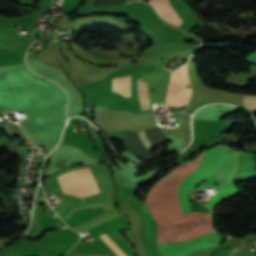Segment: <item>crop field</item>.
<instances>
[{
  "mask_svg": "<svg viewBox=\"0 0 256 256\" xmlns=\"http://www.w3.org/2000/svg\"><path fill=\"white\" fill-rule=\"evenodd\" d=\"M240 154V150L236 151L225 145L208 149L204 152V155L201 153L194 160L173 169L169 175L153 186L146 198V202H143L153 216L154 226L152 234L204 214L191 212L186 192L204 181L207 182L199 185L197 189L227 183L238 165ZM202 155L203 158L199 164ZM196 168L197 170L195 171ZM193 171L195 172L192 173ZM182 180L184 181L179 186ZM178 186V201L183 214L191 212L185 216H183L177 201ZM211 228V216L210 213H207L195 220L160 231L152 236L158 249L172 243L183 241ZM219 241L220 236L212 229L183 242L158 249L157 251L159 256H191L195 252L218 245L217 243Z\"/></svg>",
  "mask_w": 256,
  "mask_h": 256,
  "instance_id": "obj_1",
  "label": "crop field"
},
{
  "mask_svg": "<svg viewBox=\"0 0 256 256\" xmlns=\"http://www.w3.org/2000/svg\"><path fill=\"white\" fill-rule=\"evenodd\" d=\"M178 70L179 69L174 71L172 74V79H171V84H170V89H169L166 105H172V103H173V97H174V92H175L177 76H178ZM186 85H190V84H189V82L187 80V76H186V65H184L179 70V76H178V81H177L175 97H176V93H180V96H179V94H177L176 103H175V97H174L175 106L177 104L178 96H179V100H178L177 106H183V105L187 104L190 94H191V89H187ZM174 103H173V105H174Z\"/></svg>",
  "mask_w": 256,
  "mask_h": 256,
  "instance_id": "obj_2",
  "label": "crop field"
},
{
  "mask_svg": "<svg viewBox=\"0 0 256 256\" xmlns=\"http://www.w3.org/2000/svg\"><path fill=\"white\" fill-rule=\"evenodd\" d=\"M149 2V1H148ZM157 14L167 22L178 26L180 18L169 5L168 0H150ZM150 4V3H149Z\"/></svg>",
  "mask_w": 256,
  "mask_h": 256,
  "instance_id": "obj_3",
  "label": "crop field"
},
{
  "mask_svg": "<svg viewBox=\"0 0 256 256\" xmlns=\"http://www.w3.org/2000/svg\"><path fill=\"white\" fill-rule=\"evenodd\" d=\"M253 177H256V168L252 159V154L245 153L243 162L231 182H236V179H247Z\"/></svg>",
  "mask_w": 256,
  "mask_h": 256,
  "instance_id": "obj_4",
  "label": "crop field"
},
{
  "mask_svg": "<svg viewBox=\"0 0 256 256\" xmlns=\"http://www.w3.org/2000/svg\"><path fill=\"white\" fill-rule=\"evenodd\" d=\"M216 190H217L218 194L211 195L210 199L208 201H206L207 202V206H209L211 209L218 202H220L223 199L227 198L228 196L234 195V194H236L238 192L236 186L233 185V184H230V183L228 185H225V186L217 187Z\"/></svg>",
  "mask_w": 256,
  "mask_h": 256,
  "instance_id": "obj_5",
  "label": "crop field"
},
{
  "mask_svg": "<svg viewBox=\"0 0 256 256\" xmlns=\"http://www.w3.org/2000/svg\"><path fill=\"white\" fill-rule=\"evenodd\" d=\"M130 77H120L113 79L112 90L120 93L125 97L130 96Z\"/></svg>",
  "mask_w": 256,
  "mask_h": 256,
  "instance_id": "obj_6",
  "label": "crop field"
},
{
  "mask_svg": "<svg viewBox=\"0 0 256 256\" xmlns=\"http://www.w3.org/2000/svg\"><path fill=\"white\" fill-rule=\"evenodd\" d=\"M99 237L106 243V245L117 255V256H128L123 249L108 235L102 234Z\"/></svg>",
  "mask_w": 256,
  "mask_h": 256,
  "instance_id": "obj_7",
  "label": "crop field"
},
{
  "mask_svg": "<svg viewBox=\"0 0 256 256\" xmlns=\"http://www.w3.org/2000/svg\"><path fill=\"white\" fill-rule=\"evenodd\" d=\"M137 87L142 110L150 109L145 83L138 80Z\"/></svg>",
  "mask_w": 256,
  "mask_h": 256,
  "instance_id": "obj_8",
  "label": "crop field"
},
{
  "mask_svg": "<svg viewBox=\"0 0 256 256\" xmlns=\"http://www.w3.org/2000/svg\"><path fill=\"white\" fill-rule=\"evenodd\" d=\"M243 104L253 112H256V96L255 95H245Z\"/></svg>",
  "mask_w": 256,
  "mask_h": 256,
  "instance_id": "obj_9",
  "label": "crop field"
},
{
  "mask_svg": "<svg viewBox=\"0 0 256 256\" xmlns=\"http://www.w3.org/2000/svg\"><path fill=\"white\" fill-rule=\"evenodd\" d=\"M139 136L141 138L142 143L149 149H153L152 144L150 143L149 139L147 138V136L145 135L144 131L142 132H138Z\"/></svg>",
  "mask_w": 256,
  "mask_h": 256,
  "instance_id": "obj_10",
  "label": "crop field"
},
{
  "mask_svg": "<svg viewBox=\"0 0 256 256\" xmlns=\"http://www.w3.org/2000/svg\"><path fill=\"white\" fill-rule=\"evenodd\" d=\"M8 42H14V40L10 36L4 35L2 32H0V44Z\"/></svg>",
  "mask_w": 256,
  "mask_h": 256,
  "instance_id": "obj_11",
  "label": "crop field"
},
{
  "mask_svg": "<svg viewBox=\"0 0 256 256\" xmlns=\"http://www.w3.org/2000/svg\"><path fill=\"white\" fill-rule=\"evenodd\" d=\"M61 223V222H60ZM59 224V223H58Z\"/></svg>",
  "mask_w": 256,
  "mask_h": 256,
  "instance_id": "obj_12",
  "label": "crop field"
}]
</instances>
